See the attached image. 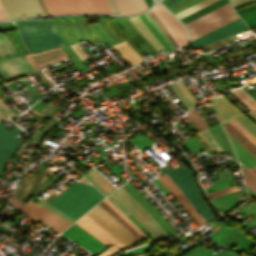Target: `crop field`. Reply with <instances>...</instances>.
<instances>
[{
    "instance_id": "crop-field-42",
    "label": "crop field",
    "mask_w": 256,
    "mask_h": 256,
    "mask_svg": "<svg viewBox=\"0 0 256 256\" xmlns=\"http://www.w3.org/2000/svg\"><path fill=\"white\" fill-rule=\"evenodd\" d=\"M256 176V166L249 169Z\"/></svg>"
},
{
    "instance_id": "crop-field-23",
    "label": "crop field",
    "mask_w": 256,
    "mask_h": 256,
    "mask_svg": "<svg viewBox=\"0 0 256 256\" xmlns=\"http://www.w3.org/2000/svg\"><path fill=\"white\" fill-rule=\"evenodd\" d=\"M242 167V171L244 174V178H245V182L246 185L253 191L256 193V177L253 176L247 169H245L243 166Z\"/></svg>"
},
{
    "instance_id": "crop-field-25",
    "label": "crop field",
    "mask_w": 256,
    "mask_h": 256,
    "mask_svg": "<svg viewBox=\"0 0 256 256\" xmlns=\"http://www.w3.org/2000/svg\"><path fill=\"white\" fill-rule=\"evenodd\" d=\"M38 204H40L41 206L45 207L46 209L52 211L53 213L59 215L60 217L64 218L65 220L69 221V222H74L75 220L72 219L71 217H69L68 215L64 214L63 212L59 211L58 209L48 205L45 201L40 200L38 202Z\"/></svg>"
},
{
    "instance_id": "crop-field-48",
    "label": "crop field",
    "mask_w": 256,
    "mask_h": 256,
    "mask_svg": "<svg viewBox=\"0 0 256 256\" xmlns=\"http://www.w3.org/2000/svg\"><path fill=\"white\" fill-rule=\"evenodd\" d=\"M0 83H1V81H0Z\"/></svg>"
},
{
    "instance_id": "crop-field-47",
    "label": "crop field",
    "mask_w": 256,
    "mask_h": 256,
    "mask_svg": "<svg viewBox=\"0 0 256 256\" xmlns=\"http://www.w3.org/2000/svg\"><path fill=\"white\" fill-rule=\"evenodd\" d=\"M138 256H142V255H138Z\"/></svg>"
},
{
    "instance_id": "crop-field-8",
    "label": "crop field",
    "mask_w": 256,
    "mask_h": 256,
    "mask_svg": "<svg viewBox=\"0 0 256 256\" xmlns=\"http://www.w3.org/2000/svg\"><path fill=\"white\" fill-rule=\"evenodd\" d=\"M62 235L73 240L94 254L99 253L107 247L75 223L64 231Z\"/></svg>"
},
{
    "instance_id": "crop-field-29",
    "label": "crop field",
    "mask_w": 256,
    "mask_h": 256,
    "mask_svg": "<svg viewBox=\"0 0 256 256\" xmlns=\"http://www.w3.org/2000/svg\"><path fill=\"white\" fill-rule=\"evenodd\" d=\"M238 190L239 189L237 188V186H233V187H229V188H225V189H222V190H219V191L209 193L208 195H209L210 198L214 199L218 196L229 194V193H232V192H235V191H238Z\"/></svg>"
},
{
    "instance_id": "crop-field-31",
    "label": "crop field",
    "mask_w": 256,
    "mask_h": 256,
    "mask_svg": "<svg viewBox=\"0 0 256 256\" xmlns=\"http://www.w3.org/2000/svg\"><path fill=\"white\" fill-rule=\"evenodd\" d=\"M241 18L247 23V25L250 28L256 26V11L249 13L247 15L241 16Z\"/></svg>"
},
{
    "instance_id": "crop-field-39",
    "label": "crop field",
    "mask_w": 256,
    "mask_h": 256,
    "mask_svg": "<svg viewBox=\"0 0 256 256\" xmlns=\"http://www.w3.org/2000/svg\"><path fill=\"white\" fill-rule=\"evenodd\" d=\"M108 23V26L110 27V29L123 41L126 40L116 29L115 27L111 24L110 20H106Z\"/></svg>"
},
{
    "instance_id": "crop-field-5",
    "label": "crop field",
    "mask_w": 256,
    "mask_h": 256,
    "mask_svg": "<svg viewBox=\"0 0 256 256\" xmlns=\"http://www.w3.org/2000/svg\"><path fill=\"white\" fill-rule=\"evenodd\" d=\"M30 53L50 49L51 46L38 22L26 20L14 22ZM53 48V47H52Z\"/></svg>"
},
{
    "instance_id": "crop-field-43",
    "label": "crop field",
    "mask_w": 256,
    "mask_h": 256,
    "mask_svg": "<svg viewBox=\"0 0 256 256\" xmlns=\"http://www.w3.org/2000/svg\"><path fill=\"white\" fill-rule=\"evenodd\" d=\"M177 0H172L170 2H168L167 4H165L166 7L170 6L171 4H173L174 2H176Z\"/></svg>"
},
{
    "instance_id": "crop-field-44",
    "label": "crop field",
    "mask_w": 256,
    "mask_h": 256,
    "mask_svg": "<svg viewBox=\"0 0 256 256\" xmlns=\"http://www.w3.org/2000/svg\"><path fill=\"white\" fill-rule=\"evenodd\" d=\"M5 118H7V117L4 116V115L0 112V120H1V119H5Z\"/></svg>"
},
{
    "instance_id": "crop-field-15",
    "label": "crop field",
    "mask_w": 256,
    "mask_h": 256,
    "mask_svg": "<svg viewBox=\"0 0 256 256\" xmlns=\"http://www.w3.org/2000/svg\"><path fill=\"white\" fill-rule=\"evenodd\" d=\"M131 66L143 61V58L137 54L129 44L124 41L112 46Z\"/></svg>"
},
{
    "instance_id": "crop-field-12",
    "label": "crop field",
    "mask_w": 256,
    "mask_h": 256,
    "mask_svg": "<svg viewBox=\"0 0 256 256\" xmlns=\"http://www.w3.org/2000/svg\"><path fill=\"white\" fill-rule=\"evenodd\" d=\"M220 117L222 124H225L236 117L242 115V113L237 110L229 101H227L223 96L216 97L212 99Z\"/></svg>"
},
{
    "instance_id": "crop-field-26",
    "label": "crop field",
    "mask_w": 256,
    "mask_h": 256,
    "mask_svg": "<svg viewBox=\"0 0 256 256\" xmlns=\"http://www.w3.org/2000/svg\"><path fill=\"white\" fill-rule=\"evenodd\" d=\"M110 208H112L128 225H130L140 236L141 238H145L143 234L137 229V227L128 220L121 212H119L107 199L103 200Z\"/></svg>"
},
{
    "instance_id": "crop-field-34",
    "label": "crop field",
    "mask_w": 256,
    "mask_h": 256,
    "mask_svg": "<svg viewBox=\"0 0 256 256\" xmlns=\"http://www.w3.org/2000/svg\"><path fill=\"white\" fill-rule=\"evenodd\" d=\"M0 110L5 113L8 117L16 116V114L9 109L1 100H0Z\"/></svg>"
},
{
    "instance_id": "crop-field-2",
    "label": "crop field",
    "mask_w": 256,
    "mask_h": 256,
    "mask_svg": "<svg viewBox=\"0 0 256 256\" xmlns=\"http://www.w3.org/2000/svg\"><path fill=\"white\" fill-rule=\"evenodd\" d=\"M103 198L93 187L75 181L49 203L77 220Z\"/></svg>"
},
{
    "instance_id": "crop-field-17",
    "label": "crop field",
    "mask_w": 256,
    "mask_h": 256,
    "mask_svg": "<svg viewBox=\"0 0 256 256\" xmlns=\"http://www.w3.org/2000/svg\"><path fill=\"white\" fill-rule=\"evenodd\" d=\"M48 40L50 41L53 48L63 46V43L58 36L55 28L53 27L50 19L39 20Z\"/></svg>"
},
{
    "instance_id": "crop-field-33",
    "label": "crop field",
    "mask_w": 256,
    "mask_h": 256,
    "mask_svg": "<svg viewBox=\"0 0 256 256\" xmlns=\"http://www.w3.org/2000/svg\"><path fill=\"white\" fill-rule=\"evenodd\" d=\"M71 48L74 50V52L77 54L81 61L89 57L83 50V48L79 45V43L71 45Z\"/></svg>"
},
{
    "instance_id": "crop-field-20",
    "label": "crop field",
    "mask_w": 256,
    "mask_h": 256,
    "mask_svg": "<svg viewBox=\"0 0 256 256\" xmlns=\"http://www.w3.org/2000/svg\"><path fill=\"white\" fill-rule=\"evenodd\" d=\"M17 56L12 45L4 34H0V60Z\"/></svg>"
},
{
    "instance_id": "crop-field-6",
    "label": "crop field",
    "mask_w": 256,
    "mask_h": 256,
    "mask_svg": "<svg viewBox=\"0 0 256 256\" xmlns=\"http://www.w3.org/2000/svg\"><path fill=\"white\" fill-rule=\"evenodd\" d=\"M86 214L91 217L97 224H99L105 231H107L112 237H114L123 247L136 242L134 237L129 232H127L98 205Z\"/></svg>"
},
{
    "instance_id": "crop-field-22",
    "label": "crop field",
    "mask_w": 256,
    "mask_h": 256,
    "mask_svg": "<svg viewBox=\"0 0 256 256\" xmlns=\"http://www.w3.org/2000/svg\"><path fill=\"white\" fill-rule=\"evenodd\" d=\"M215 1H217V0H204V1L194 5L192 7L176 14V17L181 19V18H183V17H185V16H187V15H189V14H191V13H193V12H195V11H197V10H199V9H201V8L207 6V5H209V4H211Z\"/></svg>"
},
{
    "instance_id": "crop-field-3",
    "label": "crop field",
    "mask_w": 256,
    "mask_h": 256,
    "mask_svg": "<svg viewBox=\"0 0 256 256\" xmlns=\"http://www.w3.org/2000/svg\"><path fill=\"white\" fill-rule=\"evenodd\" d=\"M108 198L127 216L132 215L156 239L167 236L161 226L121 187Z\"/></svg>"
},
{
    "instance_id": "crop-field-38",
    "label": "crop field",
    "mask_w": 256,
    "mask_h": 256,
    "mask_svg": "<svg viewBox=\"0 0 256 256\" xmlns=\"http://www.w3.org/2000/svg\"><path fill=\"white\" fill-rule=\"evenodd\" d=\"M107 2L113 14H120L113 0H107Z\"/></svg>"
},
{
    "instance_id": "crop-field-1",
    "label": "crop field",
    "mask_w": 256,
    "mask_h": 256,
    "mask_svg": "<svg viewBox=\"0 0 256 256\" xmlns=\"http://www.w3.org/2000/svg\"><path fill=\"white\" fill-rule=\"evenodd\" d=\"M51 174L52 173L45 168L42 171L36 173L33 179L23 177L18 193L14 198L24 203L32 195L35 189ZM15 199L8 198L6 200L20 209L21 212L38 220L42 224L52 228L58 233L63 231L67 226L71 224L30 200L23 204Z\"/></svg>"
},
{
    "instance_id": "crop-field-35",
    "label": "crop field",
    "mask_w": 256,
    "mask_h": 256,
    "mask_svg": "<svg viewBox=\"0 0 256 256\" xmlns=\"http://www.w3.org/2000/svg\"><path fill=\"white\" fill-rule=\"evenodd\" d=\"M53 174L36 190V192L33 195H37L42 189L47 187V185L55 178Z\"/></svg>"
},
{
    "instance_id": "crop-field-30",
    "label": "crop field",
    "mask_w": 256,
    "mask_h": 256,
    "mask_svg": "<svg viewBox=\"0 0 256 256\" xmlns=\"http://www.w3.org/2000/svg\"><path fill=\"white\" fill-rule=\"evenodd\" d=\"M149 13V15L152 17V19L156 22V24L160 27V29H162L164 31V33L168 36V38L173 42L174 46L177 48L179 47L177 45V43L173 40V38L171 37V35L168 33V31L166 30V28L160 23V21L158 20V18L155 16V14L153 13L152 9L147 11Z\"/></svg>"
},
{
    "instance_id": "crop-field-24",
    "label": "crop field",
    "mask_w": 256,
    "mask_h": 256,
    "mask_svg": "<svg viewBox=\"0 0 256 256\" xmlns=\"http://www.w3.org/2000/svg\"><path fill=\"white\" fill-rule=\"evenodd\" d=\"M235 120L239 122L245 129H247L253 136L256 137V126L244 115Z\"/></svg>"
},
{
    "instance_id": "crop-field-10",
    "label": "crop field",
    "mask_w": 256,
    "mask_h": 256,
    "mask_svg": "<svg viewBox=\"0 0 256 256\" xmlns=\"http://www.w3.org/2000/svg\"><path fill=\"white\" fill-rule=\"evenodd\" d=\"M34 72L24 56L1 61L0 74L5 81Z\"/></svg>"
},
{
    "instance_id": "crop-field-21",
    "label": "crop field",
    "mask_w": 256,
    "mask_h": 256,
    "mask_svg": "<svg viewBox=\"0 0 256 256\" xmlns=\"http://www.w3.org/2000/svg\"><path fill=\"white\" fill-rule=\"evenodd\" d=\"M101 208H103L110 216H112L118 223H120L127 231H129L137 241L141 240L139 235L128 226L112 209H110L103 201L98 204Z\"/></svg>"
},
{
    "instance_id": "crop-field-32",
    "label": "crop field",
    "mask_w": 256,
    "mask_h": 256,
    "mask_svg": "<svg viewBox=\"0 0 256 256\" xmlns=\"http://www.w3.org/2000/svg\"><path fill=\"white\" fill-rule=\"evenodd\" d=\"M145 17L150 21V23L154 26V28L161 34L163 39L169 44L171 50L175 49L174 46L172 45L171 41L167 38V36L158 28V26L155 24V22L151 19V17L148 15L147 12L143 13Z\"/></svg>"
},
{
    "instance_id": "crop-field-19",
    "label": "crop field",
    "mask_w": 256,
    "mask_h": 256,
    "mask_svg": "<svg viewBox=\"0 0 256 256\" xmlns=\"http://www.w3.org/2000/svg\"><path fill=\"white\" fill-rule=\"evenodd\" d=\"M226 131L235 138L243 147H245L254 157H256V147L253 146L245 137H243L235 128L229 123L224 125Z\"/></svg>"
},
{
    "instance_id": "crop-field-36",
    "label": "crop field",
    "mask_w": 256,
    "mask_h": 256,
    "mask_svg": "<svg viewBox=\"0 0 256 256\" xmlns=\"http://www.w3.org/2000/svg\"><path fill=\"white\" fill-rule=\"evenodd\" d=\"M253 1H256V0H231L234 8L253 2Z\"/></svg>"
},
{
    "instance_id": "crop-field-40",
    "label": "crop field",
    "mask_w": 256,
    "mask_h": 256,
    "mask_svg": "<svg viewBox=\"0 0 256 256\" xmlns=\"http://www.w3.org/2000/svg\"><path fill=\"white\" fill-rule=\"evenodd\" d=\"M244 47L240 46V47H237L236 49H234L233 51L229 52L227 55L223 56L222 58L226 59L228 58L229 56H231L232 54H234L235 52H237L238 50L242 49Z\"/></svg>"
},
{
    "instance_id": "crop-field-7",
    "label": "crop field",
    "mask_w": 256,
    "mask_h": 256,
    "mask_svg": "<svg viewBox=\"0 0 256 256\" xmlns=\"http://www.w3.org/2000/svg\"><path fill=\"white\" fill-rule=\"evenodd\" d=\"M20 132L22 130L17 127L8 131L0 122V176H3V166L15 151L14 147L23 142L15 136Z\"/></svg>"
},
{
    "instance_id": "crop-field-18",
    "label": "crop field",
    "mask_w": 256,
    "mask_h": 256,
    "mask_svg": "<svg viewBox=\"0 0 256 256\" xmlns=\"http://www.w3.org/2000/svg\"><path fill=\"white\" fill-rule=\"evenodd\" d=\"M197 136L201 139V141L210 149L213 151H221L224 152L222 150V148L220 147V145L218 144V142L216 141V139L214 138V136L210 133V131L205 128L199 132L196 133ZM218 153V152H217ZM219 156H221L218 153ZM222 157V156H221Z\"/></svg>"
},
{
    "instance_id": "crop-field-46",
    "label": "crop field",
    "mask_w": 256,
    "mask_h": 256,
    "mask_svg": "<svg viewBox=\"0 0 256 256\" xmlns=\"http://www.w3.org/2000/svg\"><path fill=\"white\" fill-rule=\"evenodd\" d=\"M148 47V46H147ZM149 48V47H148ZM149 51V50H148ZM150 52V51H149Z\"/></svg>"
},
{
    "instance_id": "crop-field-41",
    "label": "crop field",
    "mask_w": 256,
    "mask_h": 256,
    "mask_svg": "<svg viewBox=\"0 0 256 256\" xmlns=\"http://www.w3.org/2000/svg\"><path fill=\"white\" fill-rule=\"evenodd\" d=\"M229 252L225 251V250H220L218 253H216L214 256H225L226 254H228Z\"/></svg>"
},
{
    "instance_id": "crop-field-9",
    "label": "crop field",
    "mask_w": 256,
    "mask_h": 256,
    "mask_svg": "<svg viewBox=\"0 0 256 256\" xmlns=\"http://www.w3.org/2000/svg\"><path fill=\"white\" fill-rule=\"evenodd\" d=\"M247 29L246 25L242 22L241 19H237L193 42H191V46L193 49L202 47L211 42L217 41L234 33L240 32L242 30Z\"/></svg>"
},
{
    "instance_id": "crop-field-14",
    "label": "crop field",
    "mask_w": 256,
    "mask_h": 256,
    "mask_svg": "<svg viewBox=\"0 0 256 256\" xmlns=\"http://www.w3.org/2000/svg\"><path fill=\"white\" fill-rule=\"evenodd\" d=\"M121 14H134L148 9L144 0H114Z\"/></svg>"
},
{
    "instance_id": "crop-field-37",
    "label": "crop field",
    "mask_w": 256,
    "mask_h": 256,
    "mask_svg": "<svg viewBox=\"0 0 256 256\" xmlns=\"http://www.w3.org/2000/svg\"><path fill=\"white\" fill-rule=\"evenodd\" d=\"M135 46L145 42V40L140 36H136V37H133L131 39H129Z\"/></svg>"
},
{
    "instance_id": "crop-field-27",
    "label": "crop field",
    "mask_w": 256,
    "mask_h": 256,
    "mask_svg": "<svg viewBox=\"0 0 256 256\" xmlns=\"http://www.w3.org/2000/svg\"><path fill=\"white\" fill-rule=\"evenodd\" d=\"M232 126H234L242 135H244L252 144L256 146V138H254L248 131H246L240 124H238L235 120L229 122Z\"/></svg>"
},
{
    "instance_id": "crop-field-16",
    "label": "crop field",
    "mask_w": 256,
    "mask_h": 256,
    "mask_svg": "<svg viewBox=\"0 0 256 256\" xmlns=\"http://www.w3.org/2000/svg\"><path fill=\"white\" fill-rule=\"evenodd\" d=\"M131 24L143 35V37L158 51L163 49V46L158 40L152 35L144 23L139 19L138 16L128 17Z\"/></svg>"
},
{
    "instance_id": "crop-field-11",
    "label": "crop field",
    "mask_w": 256,
    "mask_h": 256,
    "mask_svg": "<svg viewBox=\"0 0 256 256\" xmlns=\"http://www.w3.org/2000/svg\"><path fill=\"white\" fill-rule=\"evenodd\" d=\"M157 179L172 193L199 226L205 221L166 174Z\"/></svg>"
},
{
    "instance_id": "crop-field-28",
    "label": "crop field",
    "mask_w": 256,
    "mask_h": 256,
    "mask_svg": "<svg viewBox=\"0 0 256 256\" xmlns=\"http://www.w3.org/2000/svg\"><path fill=\"white\" fill-rule=\"evenodd\" d=\"M170 87L173 89L175 94L178 96L180 101L186 106V108L189 110V108L192 106L190 102L185 98V96L182 94V92L179 90V88L176 86L175 83L170 84Z\"/></svg>"
},
{
    "instance_id": "crop-field-13",
    "label": "crop field",
    "mask_w": 256,
    "mask_h": 256,
    "mask_svg": "<svg viewBox=\"0 0 256 256\" xmlns=\"http://www.w3.org/2000/svg\"><path fill=\"white\" fill-rule=\"evenodd\" d=\"M99 191L104 195L109 194L116 189L108 180H106L100 173L92 168L85 176Z\"/></svg>"
},
{
    "instance_id": "crop-field-45",
    "label": "crop field",
    "mask_w": 256,
    "mask_h": 256,
    "mask_svg": "<svg viewBox=\"0 0 256 256\" xmlns=\"http://www.w3.org/2000/svg\"><path fill=\"white\" fill-rule=\"evenodd\" d=\"M250 113L256 117V109Z\"/></svg>"
},
{
    "instance_id": "crop-field-4",
    "label": "crop field",
    "mask_w": 256,
    "mask_h": 256,
    "mask_svg": "<svg viewBox=\"0 0 256 256\" xmlns=\"http://www.w3.org/2000/svg\"><path fill=\"white\" fill-rule=\"evenodd\" d=\"M159 169L172 179V181L182 191L196 210L203 216V218L207 220L213 217L211 211L199 196V190L193 182V174L190 170H188L184 165H181L173 170H171L167 165Z\"/></svg>"
}]
</instances>
